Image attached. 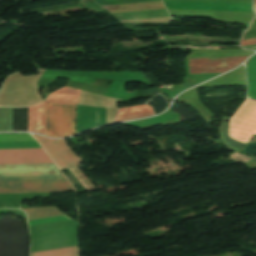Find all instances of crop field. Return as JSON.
<instances>
[{"instance_id":"14","label":"crop field","mask_w":256,"mask_h":256,"mask_svg":"<svg viewBox=\"0 0 256 256\" xmlns=\"http://www.w3.org/2000/svg\"><path fill=\"white\" fill-rule=\"evenodd\" d=\"M12 148H40L36 141H23V142H0V149Z\"/></svg>"},{"instance_id":"13","label":"crop field","mask_w":256,"mask_h":256,"mask_svg":"<svg viewBox=\"0 0 256 256\" xmlns=\"http://www.w3.org/2000/svg\"><path fill=\"white\" fill-rule=\"evenodd\" d=\"M0 131H12V108H0Z\"/></svg>"},{"instance_id":"16","label":"crop field","mask_w":256,"mask_h":256,"mask_svg":"<svg viewBox=\"0 0 256 256\" xmlns=\"http://www.w3.org/2000/svg\"><path fill=\"white\" fill-rule=\"evenodd\" d=\"M34 140L30 134L0 135V141Z\"/></svg>"},{"instance_id":"1","label":"crop field","mask_w":256,"mask_h":256,"mask_svg":"<svg viewBox=\"0 0 256 256\" xmlns=\"http://www.w3.org/2000/svg\"><path fill=\"white\" fill-rule=\"evenodd\" d=\"M66 181L55 164L0 165L1 182ZM25 190V191H24ZM75 191L68 182L2 183L0 193Z\"/></svg>"},{"instance_id":"5","label":"crop field","mask_w":256,"mask_h":256,"mask_svg":"<svg viewBox=\"0 0 256 256\" xmlns=\"http://www.w3.org/2000/svg\"><path fill=\"white\" fill-rule=\"evenodd\" d=\"M247 57L188 59L190 74L225 72Z\"/></svg>"},{"instance_id":"12","label":"crop field","mask_w":256,"mask_h":256,"mask_svg":"<svg viewBox=\"0 0 256 256\" xmlns=\"http://www.w3.org/2000/svg\"><path fill=\"white\" fill-rule=\"evenodd\" d=\"M30 256H79L77 246L33 252Z\"/></svg>"},{"instance_id":"2","label":"crop field","mask_w":256,"mask_h":256,"mask_svg":"<svg viewBox=\"0 0 256 256\" xmlns=\"http://www.w3.org/2000/svg\"><path fill=\"white\" fill-rule=\"evenodd\" d=\"M74 119L75 105L46 102L45 135L52 137L73 135Z\"/></svg>"},{"instance_id":"20","label":"crop field","mask_w":256,"mask_h":256,"mask_svg":"<svg viewBox=\"0 0 256 256\" xmlns=\"http://www.w3.org/2000/svg\"><path fill=\"white\" fill-rule=\"evenodd\" d=\"M254 4H256V0H254Z\"/></svg>"},{"instance_id":"6","label":"crop field","mask_w":256,"mask_h":256,"mask_svg":"<svg viewBox=\"0 0 256 256\" xmlns=\"http://www.w3.org/2000/svg\"><path fill=\"white\" fill-rule=\"evenodd\" d=\"M53 163L43 149L0 150V164Z\"/></svg>"},{"instance_id":"15","label":"crop field","mask_w":256,"mask_h":256,"mask_svg":"<svg viewBox=\"0 0 256 256\" xmlns=\"http://www.w3.org/2000/svg\"><path fill=\"white\" fill-rule=\"evenodd\" d=\"M70 219L71 218H69L68 216L62 215V216H56V217H50V218L31 220V221H28V224L29 226H32V225L46 224V223H52V222L70 220Z\"/></svg>"},{"instance_id":"7","label":"crop field","mask_w":256,"mask_h":256,"mask_svg":"<svg viewBox=\"0 0 256 256\" xmlns=\"http://www.w3.org/2000/svg\"><path fill=\"white\" fill-rule=\"evenodd\" d=\"M106 124V108L77 105V133Z\"/></svg>"},{"instance_id":"9","label":"crop field","mask_w":256,"mask_h":256,"mask_svg":"<svg viewBox=\"0 0 256 256\" xmlns=\"http://www.w3.org/2000/svg\"><path fill=\"white\" fill-rule=\"evenodd\" d=\"M118 110H119V113L115 119V122L139 118V117H145L153 114L151 107L144 106V105L120 108Z\"/></svg>"},{"instance_id":"4","label":"crop field","mask_w":256,"mask_h":256,"mask_svg":"<svg viewBox=\"0 0 256 256\" xmlns=\"http://www.w3.org/2000/svg\"><path fill=\"white\" fill-rule=\"evenodd\" d=\"M34 136L60 169L64 170L70 166L77 165L82 162L80 158L77 157L73 152L65 139L52 140L36 135Z\"/></svg>"},{"instance_id":"17","label":"crop field","mask_w":256,"mask_h":256,"mask_svg":"<svg viewBox=\"0 0 256 256\" xmlns=\"http://www.w3.org/2000/svg\"><path fill=\"white\" fill-rule=\"evenodd\" d=\"M256 38V17L252 21L249 29L244 32L242 40Z\"/></svg>"},{"instance_id":"19","label":"crop field","mask_w":256,"mask_h":256,"mask_svg":"<svg viewBox=\"0 0 256 256\" xmlns=\"http://www.w3.org/2000/svg\"><path fill=\"white\" fill-rule=\"evenodd\" d=\"M253 8H254V12H255V14H256V5H254Z\"/></svg>"},{"instance_id":"3","label":"crop field","mask_w":256,"mask_h":256,"mask_svg":"<svg viewBox=\"0 0 256 256\" xmlns=\"http://www.w3.org/2000/svg\"><path fill=\"white\" fill-rule=\"evenodd\" d=\"M256 134V102L246 100L230 120L229 136L241 142Z\"/></svg>"},{"instance_id":"21","label":"crop field","mask_w":256,"mask_h":256,"mask_svg":"<svg viewBox=\"0 0 256 256\" xmlns=\"http://www.w3.org/2000/svg\"><path fill=\"white\" fill-rule=\"evenodd\" d=\"M254 50H256V48Z\"/></svg>"},{"instance_id":"10","label":"crop field","mask_w":256,"mask_h":256,"mask_svg":"<svg viewBox=\"0 0 256 256\" xmlns=\"http://www.w3.org/2000/svg\"><path fill=\"white\" fill-rule=\"evenodd\" d=\"M80 90L64 87L53 93L46 101L77 104Z\"/></svg>"},{"instance_id":"11","label":"crop field","mask_w":256,"mask_h":256,"mask_svg":"<svg viewBox=\"0 0 256 256\" xmlns=\"http://www.w3.org/2000/svg\"><path fill=\"white\" fill-rule=\"evenodd\" d=\"M248 97L256 99V55L247 68Z\"/></svg>"},{"instance_id":"8","label":"crop field","mask_w":256,"mask_h":256,"mask_svg":"<svg viewBox=\"0 0 256 256\" xmlns=\"http://www.w3.org/2000/svg\"><path fill=\"white\" fill-rule=\"evenodd\" d=\"M45 102L29 107V131L44 135Z\"/></svg>"},{"instance_id":"18","label":"crop field","mask_w":256,"mask_h":256,"mask_svg":"<svg viewBox=\"0 0 256 256\" xmlns=\"http://www.w3.org/2000/svg\"><path fill=\"white\" fill-rule=\"evenodd\" d=\"M256 44V39L241 41V46Z\"/></svg>"}]
</instances>
